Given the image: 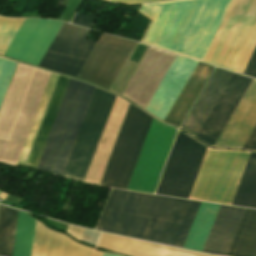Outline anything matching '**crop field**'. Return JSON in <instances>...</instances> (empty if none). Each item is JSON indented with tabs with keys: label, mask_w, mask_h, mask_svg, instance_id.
I'll return each instance as SVG.
<instances>
[{
	"label": "crop field",
	"mask_w": 256,
	"mask_h": 256,
	"mask_svg": "<svg viewBox=\"0 0 256 256\" xmlns=\"http://www.w3.org/2000/svg\"><path fill=\"white\" fill-rule=\"evenodd\" d=\"M199 203L112 189L96 229L182 247Z\"/></svg>",
	"instance_id": "1"
},
{
	"label": "crop field",
	"mask_w": 256,
	"mask_h": 256,
	"mask_svg": "<svg viewBox=\"0 0 256 256\" xmlns=\"http://www.w3.org/2000/svg\"><path fill=\"white\" fill-rule=\"evenodd\" d=\"M19 211L0 206V255L11 256ZM36 220L19 214L12 256H30ZM32 254L34 256H92L93 250L51 231L37 221Z\"/></svg>",
	"instance_id": "2"
},
{
	"label": "crop field",
	"mask_w": 256,
	"mask_h": 256,
	"mask_svg": "<svg viewBox=\"0 0 256 256\" xmlns=\"http://www.w3.org/2000/svg\"><path fill=\"white\" fill-rule=\"evenodd\" d=\"M256 46V0H232L204 62L243 73Z\"/></svg>",
	"instance_id": "3"
},
{
	"label": "crop field",
	"mask_w": 256,
	"mask_h": 256,
	"mask_svg": "<svg viewBox=\"0 0 256 256\" xmlns=\"http://www.w3.org/2000/svg\"><path fill=\"white\" fill-rule=\"evenodd\" d=\"M93 88L69 80L36 169L62 174Z\"/></svg>",
	"instance_id": "4"
},
{
	"label": "crop field",
	"mask_w": 256,
	"mask_h": 256,
	"mask_svg": "<svg viewBox=\"0 0 256 256\" xmlns=\"http://www.w3.org/2000/svg\"><path fill=\"white\" fill-rule=\"evenodd\" d=\"M249 154L207 149L188 198L230 205Z\"/></svg>",
	"instance_id": "5"
},
{
	"label": "crop field",
	"mask_w": 256,
	"mask_h": 256,
	"mask_svg": "<svg viewBox=\"0 0 256 256\" xmlns=\"http://www.w3.org/2000/svg\"><path fill=\"white\" fill-rule=\"evenodd\" d=\"M152 119L129 105L99 184L127 188Z\"/></svg>",
	"instance_id": "6"
},
{
	"label": "crop field",
	"mask_w": 256,
	"mask_h": 256,
	"mask_svg": "<svg viewBox=\"0 0 256 256\" xmlns=\"http://www.w3.org/2000/svg\"><path fill=\"white\" fill-rule=\"evenodd\" d=\"M115 97L102 89L94 88L63 176L84 180Z\"/></svg>",
	"instance_id": "7"
},
{
	"label": "crop field",
	"mask_w": 256,
	"mask_h": 256,
	"mask_svg": "<svg viewBox=\"0 0 256 256\" xmlns=\"http://www.w3.org/2000/svg\"><path fill=\"white\" fill-rule=\"evenodd\" d=\"M206 149L179 131L155 193L187 198Z\"/></svg>",
	"instance_id": "8"
},
{
	"label": "crop field",
	"mask_w": 256,
	"mask_h": 256,
	"mask_svg": "<svg viewBox=\"0 0 256 256\" xmlns=\"http://www.w3.org/2000/svg\"><path fill=\"white\" fill-rule=\"evenodd\" d=\"M90 30L63 23L39 66L76 77L95 42L85 40Z\"/></svg>",
	"instance_id": "9"
},
{
	"label": "crop field",
	"mask_w": 256,
	"mask_h": 256,
	"mask_svg": "<svg viewBox=\"0 0 256 256\" xmlns=\"http://www.w3.org/2000/svg\"><path fill=\"white\" fill-rule=\"evenodd\" d=\"M135 42L102 33L77 78L109 89Z\"/></svg>",
	"instance_id": "10"
},
{
	"label": "crop field",
	"mask_w": 256,
	"mask_h": 256,
	"mask_svg": "<svg viewBox=\"0 0 256 256\" xmlns=\"http://www.w3.org/2000/svg\"><path fill=\"white\" fill-rule=\"evenodd\" d=\"M59 75L50 74L47 85L45 87L44 93L42 95L41 101L39 103L38 109L36 111L35 117L33 119L32 125L30 127L29 133L27 135L26 141L24 143L23 149L21 151L20 157L17 163L25 164L30 153L31 147L33 145L34 139L36 137L37 131L39 129L40 123L44 116L45 110L47 108L48 102L50 100L51 94L53 92L54 86L56 84ZM68 78L59 76L57 84L55 86L54 92L52 94L51 100L49 102L48 108L46 110L45 116L41 123L40 129L38 131L37 137L35 139L34 145L32 147L31 153L29 155L27 165L35 166L38 163L39 157L41 155L42 149L44 147L45 141L47 139L48 133L50 131L51 125L53 123L54 117L56 115L57 109L59 107L60 101L62 99L63 93L65 91L66 85L68 83Z\"/></svg>",
	"instance_id": "11"
},
{
	"label": "crop field",
	"mask_w": 256,
	"mask_h": 256,
	"mask_svg": "<svg viewBox=\"0 0 256 256\" xmlns=\"http://www.w3.org/2000/svg\"><path fill=\"white\" fill-rule=\"evenodd\" d=\"M61 25L52 20L25 19L5 56L38 65Z\"/></svg>",
	"instance_id": "12"
},
{
	"label": "crop field",
	"mask_w": 256,
	"mask_h": 256,
	"mask_svg": "<svg viewBox=\"0 0 256 256\" xmlns=\"http://www.w3.org/2000/svg\"><path fill=\"white\" fill-rule=\"evenodd\" d=\"M250 81L233 73L196 137L213 146Z\"/></svg>",
	"instance_id": "13"
},
{
	"label": "crop field",
	"mask_w": 256,
	"mask_h": 256,
	"mask_svg": "<svg viewBox=\"0 0 256 256\" xmlns=\"http://www.w3.org/2000/svg\"><path fill=\"white\" fill-rule=\"evenodd\" d=\"M256 125V80L252 79L214 146L242 148Z\"/></svg>",
	"instance_id": "14"
},
{
	"label": "crop field",
	"mask_w": 256,
	"mask_h": 256,
	"mask_svg": "<svg viewBox=\"0 0 256 256\" xmlns=\"http://www.w3.org/2000/svg\"><path fill=\"white\" fill-rule=\"evenodd\" d=\"M231 75L232 72L215 68L181 128L196 136Z\"/></svg>",
	"instance_id": "15"
},
{
	"label": "crop field",
	"mask_w": 256,
	"mask_h": 256,
	"mask_svg": "<svg viewBox=\"0 0 256 256\" xmlns=\"http://www.w3.org/2000/svg\"><path fill=\"white\" fill-rule=\"evenodd\" d=\"M244 210L221 205L202 251L226 255Z\"/></svg>",
	"instance_id": "16"
},
{
	"label": "crop field",
	"mask_w": 256,
	"mask_h": 256,
	"mask_svg": "<svg viewBox=\"0 0 256 256\" xmlns=\"http://www.w3.org/2000/svg\"><path fill=\"white\" fill-rule=\"evenodd\" d=\"M131 256H206L102 233L98 247Z\"/></svg>",
	"instance_id": "17"
},
{
	"label": "crop field",
	"mask_w": 256,
	"mask_h": 256,
	"mask_svg": "<svg viewBox=\"0 0 256 256\" xmlns=\"http://www.w3.org/2000/svg\"><path fill=\"white\" fill-rule=\"evenodd\" d=\"M213 68V66L198 62L190 78L166 116L165 121L177 126L180 125Z\"/></svg>",
	"instance_id": "18"
},
{
	"label": "crop field",
	"mask_w": 256,
	"mask_h": 256,
	"mask_svg": "<svg viewBox=\"0 0 256 256\" xmlns=\"http://www.w3.org/2000/svg\"><path fill=\"white\" fill-rule=\"evenodd\" d=\"M227 255L256 256V211L246 209Z\"/></svg>",
	"instance_id": "19"
},
{
	"label": "crop field",
	"mask_w": 256,
	"mask_h": 256,
	"mask_svg": "<svg viewBox=\"0 0 256 256\" xmlns=\"http://www.w3.org/2000/svg\"><path fill=\"white\" fill-rule=\"evenodd\" d=\"M220 205L201 202L183 247L202 250Z\"/></svg>",
	"instance_id": "20"
},
{
	"label": "crop field",
	"mask_w": 256,
	"mask_h": 256,
	"mask_svg": "<svg viewBox=\"0 0 256 256\" xmlns=\"http://www.w3.org/2000/svg\"><path fill=\"white\" fill-rule=\"evenodd\" d=\"M231 205L256 209V153H251Z\"/></svg>",
	"instance_id": "21"
},
{
	"label": "crop field",
	"mask_w": 256,
	"mask_h": 256,
	"mask_svg": "<svg viewBox=\"0 0 256 256\" xmlns=\"http://www.w3.org/2000/svg\"><path fill=\"white\" fill-rule=\"evenodd\" d=\"M96 17L89 14L77 12L71 23L92 28Z\"/></svg>",
	"instance_id": "22"
},
{
	"label": "crop field",
	"mask_w": 256,
	"mask_h": 256,
	"mask_svg": "<svg viewBox=\"0 0 256 256\" xmlns=\"http://www.w3.org/2000/svg\"><path fill=\"white\" fill-rule=\"evenodd\" d=\"M243 74L256 78V48Z\"/></svg>",
	"instance_id": "23"
},
{
	"label": "crop field",
	"mask_w": 256,
	"mask_h": 256,
	"mask_svg": "<svg viewBox=\"0 0 256 256\" xmlns=\"http://www.w3.org/2000/svg\"><path fill=\"white\" fill-rule=\"evenodd\" d=\"M243 148L256 149V126L244 144Z\"/></svg>",
	"instance_id": "24"
},
{
	"label": "crop field",
	"mask_w": 256,
	"mask_h": 256,
	"mask_svg": "<svg viewBox=\"0 0 256 256\" xmlns=\"http://www.w3.org/2000/svg\"><path fill=\"white\" fill-rule=\"evenodd\" d=\"M83 229H80V228H76V227H73V226H68V229H67V233H69L70 235H72L74 238H76L77 240H81V237H82V234H83Z\"/></svg>",
	"instance_id": "25"
},
{
	"label": "crop field",
	"mask_w": 256,
	"mask_h": 256,
	"mask_svg": "<svg viewBox=\"0 0 256 256\" xmlns=\"http://www.w3.org/2000/svg\"><path fill=\"white\" fill-rule=\"evenodd\" d=\"M108 1H114V2L125 3V4H132V3L159 1V0H108Z\"/></svg>",
	"instance_id": "26"
},
{
	"label": "crop field",
	"mask_w": 256,
	"mask_h": 256,
	"mask_svg": "<svg viewBox=\"0 0 256 256\" xmlns=\"http://www.w3.org/2000/svg\"><path fill=\"white\" fill-rule=\"evenodd\" d=\"M102 255L103 253L101 252H96V251L93 252V256H102Z\"/></svg>",
	"instance_id": "27"
},
{
	"label": "crop field",
	"mask_w": 256,
	"mask_h": 256,
	"mask_svg": "<svg viewBox=\"0 0 256 256\" xmlns=\"http://www.w3.org/2000/svg\"><path fill=\"white\" fill-rule=\"evenodd\" d=\"M7 197V194H5V193H1V195H0V198H2V199H4L5 200V198Z\"/></svg>",
	"instance_id": "28"
}]
</instances>
